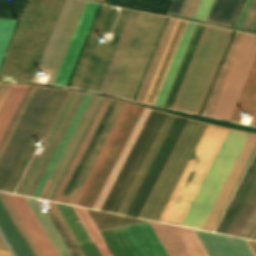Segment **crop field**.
<instances>
[{
	"mask_svg": "<svg viewBox=\"0 0 256 256\" xmlns=\"http://www.w3.org/2000/svg\"><path fill=\"white\" fill-rule=\"evenodd\" d=\"M205 127L151 110L101 209L158 221Z\"/></svg>",
	"mask_w": 256,
	"mask_h": 256,
	"instance_id": "crop-field-1",
	"label": "crop field"
},
{
	"mask_svg": "<svg viewBox=\"0 0 256 256\" xmlns=\"http://www.w3.org/2000/svg\"><path fill=\"white\" fill-rule=\"evenodd\" d=\"M226 129L207 125L159 221L180 223ZM248 133L227 129L180 225L201 229Z\"/></svg>",
	"mask_w": 256,
	"mask_h": 256,
	"instance_id": "crop-field-2",
	"label": "crop field"
},
{
	"mask_svg": "<svg viewBox=\"0 0 256 256\" xmlns=\"http://www.w3.org/2000/svg\"><path fill=\"white\" fill-rule=\"evenodd\" d=\"M25 198L28 201L33 212L35 213L36 217L38 218L40 224L45 230L47 236L49 237L59 256H100L93 243L91 242L90 238L88 237L87 233L85 232L84 228L82 227L80 223L81 221L87 232L89 233L91 239L93 240L94 244L96 245L101 256H113L101 234L99 233L98 229L96 228L95 224L93 223L92 219L90 218L89 214L87 213L86 209L72 206V208L81 220L79 222L71 206L67 205L75 221H78L75 222L66 205L55 203L62 216L64 217L66 223L68 224L69 228L71 229L72 233L74 234L75 238L77 239L78 243L80 244L81 248L83 249L85 253L84 255L82 249L80 248L79 244L77 243L76 239L74 238L73 234L65 223L54 202L48 203L49 207L52 210V212L48 214V216L51 219L56 230L58 231L59 235L61 236L69 252L71 253L70 255L60 236L52 225L50 219L48 218L47 214L42 211L37 199L28 197Z\"/></svg>",
	"mask_w": 256,
	"mask_h": 256,
	"instance_id": "crop-field-3",
	"label": "crop field"
},
{
	"mask_svg": "<svg viewBox=\"0 0 256 256\" xmlns=\"http://www.w3.org/2000/svg\"><path fill=\"white\" fill-rule=\"evenodd\" d=\"M232 32L205 26L172 108L199 113Z\"/></svg>",
	"mask_w": 256,
	"mask_h": 256,
	"instance_id": "crop-field-4",
	"label": "crop field"
},
{
	"mask_svg": "<svg viewBox=\"0 0 256 256\" xmlns=\"http://www.w3.org/2000/svg\"><path fill=\"white\" fill-rule=\"evenodd\" d=\"M165 19L138 13L106 93L133 98Z\"/></svg>",
	"mask_w": 256,
	"mask_h": 256,
	"instance_id": "crop-field-5",
	"label": "crop field"
},
{
	"mask_svg": "<svg viewBox=\"0 0 256 256\" xmlns=\"http://www.w3.org/2000/svg\"><path fill=\"white\" fill-rule=\"evenodd\" d=\"M169 256H253L242 238L150 222Z\"/></svg>",
	"mask_w": 256,
	"mask_h": 256,
	"instance_id": "crop-field-6",
	"label": "crop field"
},
{
	"mask_svg": "<svg viewBox=\"0 0 256 256\" xmlns=\"http://www.w3.org/2000/svg\"><path fill=\"white\" fill-rule=\"evenodd\" d=\"M128 11L121 10L112 31L115 33L112 43L102 44L99 40L104 31H111L117 11L110 6H101L69 86L97 90Z\"/></svg>",
	"mask_w": 256,
	"mask_h": 256,
	"instance_id": "crop-field-7",
	"label": "crop field"
},
{
	"mask_svg": "<svg viewBox=\"0 0 256 256\" xmlns=\"http://www.w3.org/2000/svg\"><path fill=\"white\" fill-rule=\"evenodd\" d=\"M100 232L114 256H168L148 221Z\"/></svg>",
	"mask_w": 256,
	"mask_h": 256,
	"instance_id": "crop-field-8",
	"label": "crop field"
},
{
	"mask_svg": "<svg viewBox=\"0 0 256 256\" xmlns=\"http://www.w3.org/2000/svg\"><path fill=\"white\" fill-rule=\"evenodd\" d=\"M85 2L83 0H65L32 80L36 81L38 72L43 70L50 74L47 83H53Z\"/></svg>",
	"mask_w": 256,
	"mask_h": 256,
	"instance_id": "crop-field-9",
	"label": "crop field"
},
{
	"mask_svg": "<svg viewBox=\"0 0 256 256\" xmlns=\"http://www.w3.org/2000/svg\"><path fill=\"white\" fill-rule=\"evenodd\" d=\"M255 55L256 35L245 33L211 117L230 119Z\"/></svg>",
	"mask_w": 256,
	"mask_h": 256,
	"instance_id": "crop-field-10",
	"label": "crop field"
},
{
	"mask_svg": "<svg viewBox=\"0 0 256 256\" xmlns=\"http://www.w3.org/2000/svg\"><path fill=\"white\" fill-rule=\"evenodd\" d=\"M54 89L37 88L13 138L0 161V190H3Z\"/></svg>",
	"mask_w": 256,
	"mask_h": 256,
	"instance_id": "crop-field-11",
	"label": "crop field"
},
{
	"mask_svg": "<svg viewBox=\"0 0 256 256\" xmlns=\"http://www.w3.org/2000/svg\"><path fill=\"white\" fill-rule=\"evenodd\" d=\"M256 209V166L249 165L216 232L239 236Z\"/></svg>",
	"mask_w": 256,
	"mask_h": 256,
	"instance_id": "crop-field-12",
	"label": "crop field"
},
{
	"mask_svg": "<svg viewBox=\"0 0 256 256\" xmlns=\"http://www.w3.org/2000/svg\"><path fill=\"white\" fill-rule=\"evenodd\" d=\"M65 91L54 90L39 122L37 123L21 157L19 158L4 190L13 192L20 176L22 175L37 143H39L64 95Z\"/></svg>",
	"mask_w": 256,
	"mask_h": 256,
	"instance_id": "crop-field-13",
	"label": "crop field"
},
{
	"mask_svg": "<svg viewBox=\"0 0 256 256\" xmlns=\"http://www.w3.org/2000/svg\"><path fill=\"white\" fill-rule=\"evenodd\" d=\"M99 4L87 1L53 84L65 87Z\"/></svg>",
	"mask_w": 256,
	"mask_h": 256,
	"instance_id": "crop-field-14",
	"label": "crop field"
},
{
	"mask_svg": "<svg viewBox=\"0 0 256 256\" xmlns=\"http://www.w3.org/2000/svg\"><path fill=\"white\" fill-rule=\"evenodd\" d=\"M256 146V135L249 134L226 182L224 183L202 229L212 231L227 203L251 153Z\"/></svg>",
	"mask_w": 256,
	"mask_h": 256,
	"instance_id": "crop-field-15",
	"label": "crop field"
},
{
	"mask_svg": "<svg viewBox=\"0 0 256 256\" xmlns=\"http://www.w3.org/2000/svg\"><path fill=\"white\" fill-rule=\"evenodd\" d=\"M41 256H58L24 197L6 194Z\"/></svg>",
	"mask_w": 256,
	"mask_h": 256,
	"instance_id": "crop-field-16",
	"label": "crop field"
},
{
	"mask_svg": "<svg viewBox=\"0 0 256 256\" xmlns=\"http://www.w3.org/2000/svg\"><path fill=\"white\" fill-rule=\"evenodd\" d=\"M77 93H73V92H67L45 138L43 141H45L47 143L41 157L35 156L27 174L25 175L17 193L18 194H23L26 195L42 161L44 160L59 128L61 127L75 97H76Z\"/></svg>",
	"mask_w": 256,
	"mask_h": 256,
	"instance_id": "crop-field-17",
	"label": "crop field"
},
{
	"mask_svg": "<svg viewBox=\"0 0 256 256\" xmlns=\"http://www.w3.org/2000/svg\"><path fill=\"white\" fill-rule=\"evenodd\" d=\"M122 105H123V103L118 102V101L114 105V107H113V109H112V111H111V113H110L102 131L100 132V134H99V136H98V138H97V140H96L88 158L86 159V161H85V163H84V165H83L75 183L73 184V186H72V188H71V190H70V192H69V194H68V196L65 200L66 203L72 204V202H73L80 186L82 185L90 167L92 166L100 148L102 147V145H103V143H104V141H105V139H106V137H107V135H108V133H109V131H110V129H111V127H112V125H113L121 107H122Z\"/></svg>",
	"mask_w": 256,
	"mask_h": 256,
	"instance_id": "crop-field-18",
	"label": "crop field"
},
{
	"mask_svg": "<svg viewBox=\"0 0 256 256\" xmlns=\"http://www.w3.org/2000/svg\"><path fill=\"white\" fill-rule=\"evenodd\" d=\"M196 24L188 22L154 105L162 107Z\"/></svg>",
	"mask_w": 256,
	"mask_h": 256,
	"instance_id": "crop-field-19",
	"label": "crop field"
},
{
	"mask_svg": "<svg viewBox=\"0 0 256 256\" xmlns=\"http://www.w3.org/2000/svg\"><path fill=\"white\" fill-rule=\"evenodd\" d=\"M177 20L169 18L135 101L143 103Z\"/></svg>",
	"mask_w": 256,
	"mask_h": 256,
	"instance_id": "crop-field-20",
	"label": "crop field"
},
{
	"mask_svg": "<svg viewBox=\"0 0 256 256\" xmlns=\"http://www.w3.org/2000/svg\"><path fill=\"white\" fill-rule=\"evenodd\" d=\"M244 33H235L202 115L210 117Z\"/></svg>",
	"mask_w": 256,
	"mask_h": 256,
	"instance_id": "crop-field-21",
	"label": "crop field"
},
{
	"mask_svg": "<svg viewBox=\"0 0 256 256\" xmlns=\"http://www.w3.org/2000/svg\"><path fill=\"white\" fill-rule=\"evenodd\" d=\"M138 12L130 10L97 91L105 93Z\"/></svg>",
	"mask_w": 256,
	"mask_h": 256,
	"instance_id": "crop-field-22",
	"label": "crop field"
},
{
	"mask_svg": "<svg viewBox=\"0 0 256 256\" xmlns=\"http://www.w3.org/2000/svg\"><path fill=\"white\" fill-rule=\"evenodd\" d=\"M205 25L197 24L163 107L171 108Z\"/></svg>",
	"mask_w": 256,
	"mask_h": 256,
	"instance_id": "crop-field-23",
	"label": "crop field"
},
{
	"mask_svg": "<svg viewBox=\"0 0 256 256\" xmlns=\"http://www.w3.org/2000/svg\"><path fill=\"white\" fill-rule=\"evenodd\" d=\"M0 230L16 256H32L1 202Z\"/></svg>",
	"mask_w": 256,
	"mask_h": 256,
	"instance_id": "crop-field-24",
	"label": "crop field"
},
{
	"mask_svg": "<svg viewBox=\"0 0 256 256\" xmlns=\"http://www.w3.org/2000/svg\"><path fill=\"white\" fill-rule=\"evenodd\" d=\"M89 97H90V95L84 94V96H83V98H82V100H81V102H80V104H79V106H78V108H77V110H76L68 128L66 129V131H65V133H64V135H63V137H62V139H61V141H60V143H59L51 161L49 162V164H48V166H47V168H46V170H45V172H44V174H43V176H42V178H41V180H40V182H39V184H38V186H37V188H36V190L33 194V197H37V198L39 197V195H40V193H41V191H42V189H43V187H44V185H45V183H46V181H47V179H48V177H49V175H50V173H51V171H52V169L55 165V163L57 162V160H58V158H59V156H60V154H61V152H62V150H63L71 132H72V130L75 127V125H76V123H77V121H78V119H79V117H80V115H81Z\"/></svg>",
	"mask_w": 256,
	"mask_h": 256,
	"instance_id": "crop-field-25",
	"label": "crop field"
},
{
	"mask_svg": "<svg viewBox=\"0 0 256 256\" xmlns=\"http://www.w3.org/2000/svg\"><path fill=\"white\" fill-rule=\"evenodd\" d=\"M242 0H214L205 21L230 26Z\"/></svg>",
	"mask_w": 256,
	"mask_h": 256,
	"instance_id": "crop-field-26",
	"label": "crop field"
},
{
	"mask_svg": "<svg viewBox=\"0 0 256 256\" xmlns=\"http://www.w3.org/2000/svg\"><path fill=\"white\" fill-rule=\"evenodd\" d=\"M26 87L12 86L0 110V139L25 91Z\"/></svg>",
	"mask_w": 256,
	"mask_h": 256,
	"instance_id": "crop-field-27",
	"label": "crop field"
},
{
	"mask_svg": "<svg viewBox=\"0 0 256 256\" xmlns=\"http://www.w3.org/2000/svg\"><path fill=\"white\" fill-rule=\"evenodd\" d=\"M82 96H83V94L78 93V95H77V97H76V99H75V101H74V103H73V105H72V107H71V109H70V111H69V113H68V115H67V117H66V119L63 123V125H62V127L60 128V130H59V132H58V134H57V136H56V138H55V140H54V142H53V144H52V146H51V148H50V150H49V152H48V154L45 158V160L43 161V163H42V165H41V167H40L32 185H31L27 195L32 196V194H33V192H34V190H35V188H36V186H37V184H38V182H39V180H40V178H41V176H42V174H43V172H44V170H45V168L48 164V162L50 161V159H51V157H52V155H53V153H54V151H55V149H56L64 131H65V129L68 126V124H69V122H70V120H71V118H72V116H73V114H74Z\"/></svg>",
	"mask_w": 256,
	"mask_h": 256,
	"instance_id": "crop-field-28",
	"label": "crop field"
},
{
	"mask_svg": "<svg viewBox=\"0 0 256 256\" xmlns=\"http://www.w3.org/2000/svg\"><path fill=\"white\" fill-rule=\"evenodd\" d=\"M114 103H115V101L110 100V102H109V104H108V106H107V108H106V110H105V112H104V114H103V116H102V118H101V120H100V122H99V124H98V126H97V128H96V130H95V132H94V134H93V136H92L88 146H87V148H86V150L84 151V153H83V155H82V157H81V159H80V161H79V163H78V165H77V167H76V169H75V171H74V173H73V175H72V177H71V179H70V181H69V183H68V185H67V187H66V189H65V191H64V193H63V195L61 197V199H60L61 202H64V200H65V198H66V196H67V194H68V192H69V190H70V188H71V186H72V184H73L77 174L79 173V171H80V169H81V167H82V165H83V163H84V161H85L89 151L91 150V148H92V146H93V144H94V142H95V140H96V138H97V136H98V134H99V132H100V130L102 128V126L104 125V123H105V121H106V119H107V117H108V115H109V113H110Z\"/></svg>",
	"mask_w": 256,
	"mask_h": 256,
	"instance_id": "crop-field-29",
	"label": "crop field"
},
{
	"mask_svg": "<svg viewBox=\"0 0 256 256\" xmlns=\"http://www.w3.org/2000/svg\"><path fill=\"white\" fill-rule=\"evenodd\" d=\"M98 99H99V97L95 96V98H94V100H93V102H92V104H91V106H90V108H89V110H88L80 128H79V130L77 131V133H76V135H75V137H74V139H73V141H72V143H71V145H70V147H69V149H68V151H67V153H66V155H65V157L62 161V163L60 164V166H59V168H58V170H57V172H56V174H55V176H54V178H53V180H52V182H51V184H50V186H49V188H48V190H47V192L44 196L45 199H48V197H49V195H50V193H51V191H52V189H53V187H54V185H55V183H56V181H57V179H58V177H59V175H60V173H61V171L64 167V165L66 164V162H67V160H68V158H69V156H70V154H71V152H72V150H73L81 132L83 131V129L85 127V125H86V123H87V121H88V119H89V117H90Z\"/></svg>",
	"mask_w": 256,
	"mask_h": 256,
	"instance_id": "crop-field-30",
	"label": "crop field"
},
{
	"mask_svg": "<svg viewBox=\"0 0 256 256\" xmlns=\"http://www.w3.org/2000/svg\"><path fill=\"white\" fill-rule=\"evenodd\" d=\"M103 100H104V98L102 99V97H100V99H99V101H98V103H97V105H96V107H95V109H94V111H93L85 129H84V131L82 132V134H81V136H80V138H79V140H78V142H77V144H76V146H75L67 164L65 165V167H64V169H63V171H62V173H61V175H60V177H59V179H58V181H57V183H56V185H55V187H54V189H53V191H52V193L49 197L50 200H53V198H54V196H55V194H56V192H57V190H58V188H59V186H60L68 168H69V166L71 165V163H72V161H73V159H74V157H75V155H76V153H77V151H78L86 133L88 132V130L90 128V126H91V124H92V122H93V120H94V118H95Z\"/></svg>",
	"mask_w": 256,
	"mask_h": 256,
	"instance_id": "crop-field-31",
	"label": "crop field"
},
{
	"mask_svg": "<svg viewBox=\"0 0 256 256\" xmlns=\"http://www.w3.org/2000/svg\"><path fill=\"white\" fill-rule=\"evenodd\" d=\"M7 197V196H6ZM5 197L4 193L0 192V200L3 203L4 207L6 208L8 214L10 215L11 219L13 220L14 224L16 225L18 231L20 232L21 236L23 237L25 243L27 244L28 248L30 249L33 256H40L39 252L37 251L36 247L34 246L33 242L30 239V235L28 236L26 230L24 229L23 225L21 224L20 220L17 217V213L15 214L14 208L12 209L10 203L8 202L7 198Z\"/></svg>",
	"mask_w": 256,
	"mask_h": 256,
	"instance_id": "crop-field-32",
	"label": "crop field"
},
{
	"mask_svg": "<svg viewBox=\"0 0 256 256\" xmlns=\"http://www.w3.org/2000/svg\"><path fill=\"white\" fill-rule=\"evenodd\" d=\"M16 20L0 19V62Z\"/></svg>",
	"mask_w": 256,
	"mask_h": 256,
	"instance_id": "crop-field-33",
	"label": "crop field"
},
{
	"mask_svg": "<svg viewBox=\"0 0 256 256\" xmlns=\"http://www.w3.org/2000/svg\"><path fill=\"white\" fill-rule=\"evenodd\" d=\"M93 98H94V96L91 95V97H90V99H89V101H88V103H87V105H86V107H85V109H84V111H83V113H82V115H81V117H80V119H79V121H78V123H77V125H76V127L74 129V131H73V133H72V135L70 136V138H69V140H68V142H67V144H66V146H65V148H64V150H63V152H62V154H61V156H60V158H59V160H58V162H57V164H56V166H55V168H54V170H53V172H52V174H51V176L49 178V180H48V182H51V180H52V178H53V176H54V174H55V172H56V170H57V168H58V166H59V164H60L64 154L66 153V151H67V149H68V147H69V145H70V143H71V141H72V139H73V137H74L78 127H79V125L81 124V122H82V120H83V118L85 116V114H86V112H87V110H88V108H89ZM48 185H49V183H46V185H45V187H44V189H43V191H42V193L40 195L41 198L43 197V195H44Z\"/></svg>",
	"mask_w": 256,
	"mask_h": 256,
	"instance_id": "crop-field-34",
	"label": "crop field"
},
{
	"mask_svg": "<svg viewBox=\"0 0 256 256\" xmlns=\"http://www.w3.org/2000/svg\"><path fill=\"white\" fill-rule=\"evenodd\" d=\"M126 106H127V104L125 103L123 108H122V110H121V112H120V114H119V116H118V118H117V120H116V122H115V124H114V126H113V128H112V130H111V132H110V134H109V136L107 137V139H106V141H105V143H104L100 153L98 154V156H97V158H96V160H95L91 170L89 171V173H88V175H87V177H86L82 187L80 188V190H79V192H78V194H77V196H76V198H75V200L73 202L74 205H76V203H77V201H78V199H79V197H80V195H81V193H82V191H83L87 181L89 180V178H90V176H91V174H92V172H93V170H94V168H95V166H96V164H97L101 154L103 153V151H104V149H105V147H106V145H107V143H108V141H109V139H110L114 129L116 128V126H117V124H118V122H119V120H120V118H121V116H122Z\"/></svg>",
	"mask_w": 256,
	"mask_h": 256,
	"instance_id": "crop-field-35",
	"label": "crop field"
},
{
	"mask_svg": "<svg viewBox=\"0 0 256 256\" xmlns=\"http://www.w3.org/2000/svg\"><path fill=\"white\" fill-rule=\"evenodd\" d=\"M35 90H36V88L33 87V89L31 91L29 97L27 98V100H26V102H25V104H24V106H23V108H22V110H21V112H20V114H19V116H18V118H17V120H16V122H15V124H14V126H13V128H12V130H11V132H10L6 142H5V144H4V146H3V148L1 149V151H0V159H1L5 149L7 147L11 137L13 136V134H14V132H15V130H16V128H17V126H18V124H19V122H20V120H21V118H22V116H23V114H24V112H25V110H26V108H27V106H28L32 96H33V94H34V92H35Z\"/></svg>",
	"mask_w": 256,
	"mask_h": 256,
	"instance_id": "crop-field-36",
	"label": "crop field"
},
{
	"mask_svg": "<svg viewBox=\"0 0 256 256\" xmlns=\"http://www.w3.org/2000/svg\"><path fill=\"white\" fill-rule=\"evenodd\" d=\"M212 3L213 0H200L192 18L204 21Z\"/></svg>",
	"mask_w": 256,
	"mask_h": 256,
	"instance_id": "crop-field-37",
	"label": "crop field"
},
{
	"mask_svg": "<svg viewBox=\"0 0 256 256\" xmlns=\"http://www.w3.org/2000/svg\"><path fill=\"white\" fill-rule=\"evenodd\" d=\"M31 89H32V87H28V89H27L23 99L21 100L17 110L15 111V113H14V115H13V117H12V119H11V121H10V123H9V125H8V127H7V129H6L5 133H4L1 141H0V149H1L2 145L4 144V142H5L6 138H7L8 134H9V132H10V130H11V128H12V126H13V124H14V122H15V120H16V118H17V116H18V114H19V112H20V110H21V108H22V106H23L27 96H28V94L31 91Z\"/></svg>",
	"mask_w": 256,
	"mask_h": 256,
	"instance_id": "crop-field-38",
	"label": "crop field"
},
{
	"mask_svg": "<svg viewBox=\"0 0 256 256\" xmlns=\"http://www.w3.org/2000/svg\"><path fill=\"white\" fill-rule=\"evenodd\" d=\"M199 0H186L179 16L191 18Z\"/></svg>",
	"mask_w": 256,
	"mask_h": 256,
	"instance_id": "crop-field-39",
	"label": "crop field"
},
{
	"mask_svg": "<svg viewBox=\"0 0 256 256\" xmlns=\"http://www.w3.org/2000/svg\"><path fill=\"white\" fill-rule=\"evenodd\" d=\"M255 16H256V0H254L253 2V5L249 11V14L242 28L249 30L254 21Z\"/></svg>",
	"mask_w": 256,
	"mask_h": 256,
	"instance_id": "crop-field-40",
	"label": "crop field"
},
{
	"mask_svg": "<svg viewBox=\"0 0 256 256\" xmlns=\"http://www.w3.org/2000/svg\"><path fill=\"white\" fill-rule=\"evenodd\" d=\"M173 1H172V3H173ZM184 2H185V0H175L174 3H173V6H172V3H171L167 13L169 12V10H170V8L172 6V8H171L169 13L178 16L180 11H181V9H182V7H183Z\"/></svg>",
	"mask_w": 256,
	"mask_h": 256,
	"instance_id": "crop-field-41",
	"label": "crop field"
},
{
	"mask_svg": "<svg viewBox=\"0 0 256 256\" xmlns=\"http://www.w3.org/2000/svg\"><path fill=\"white\" fill-rule=\"evenodd\" d=\"M12 85L0 84V108Z\"/></svg>",
	"mask_w": 256,
	"mask_h": 256,
	"instance_id": "crop-field-42",
	"label": "crop field"
},
{
	"mask_svg": "<svg viewBox=\"0 0 256 256\" xmlns=\"http://www.w3.org/2000/svg\"><path fill=\"white\" fill-rule=\"evenodd\" d=\"M249 3H250V0H245L243 6H242V8H241V11H240V13H239V15H238V17H237V20H236V22H235V24H234L233 27H236V28L239 27V25H240V23H241V21H242V18H243V16H244L245 12H246V9H247Z\"/></svg>",
	"mask_w": 256,
	"mask_h": 256,
	"instance_id": "crop-field-43",
	"label": "crop field"
},
{
	"mask_svg": "<svg viewBox=\"0 0 256 256\" xmlns=\"http://www.w3.org/2000/svg\"><path fill=\"white\" fill-rule=\"evenodd\" d=\"M256 219V210L254 212V214L252 215V217L250 218V220L248 221L247 225L245 226V228L243 229L242 233L240 234V236L245 237V235L247 234L248 230L250 229V227L252 226L253 222Z\"/></svg>",
	"mask_w": 256,
	"mask_h": 256,
	"instance_id": "crop-field-44",
	"label": "crop field"
},
{
	"mask_svg": "<svg viewBox=\"0 0 256 256\" xmlns=\"http://www.w3.org/2000/svg\"><path fill=\"white\" fill-rule=\"evenodd\" d=\"M0 250H6L8 251L7 247L5 246L4 242L2 241L1 237H0Z\"/></svg>",
	"mask_w": 256,
	"mask_h": 256,
	"instance_id": "crop-field-45",
	"label": "crop field"
},
{
	"mask_svg": "<svg viewBox=\"0 0 256 256\" xmlns=\"http://www.w3.org/2000/svg\"><path fill=\"white\" fill-rule=\"evenodd\" d=\"M10 252L0 251V256H10Z\"/></svg>",
	"mask_w": 256,
	"mask_h": 256,
	"instance_id": "crop-field-46",
	"label": "crop field"
},
{
	"mask_svg": "<svg viewBox=\"0 0 256 256\" xmlns=\"http://www.w3.org/2000/svg\"><path fill=\"white\" fill-rule=\"evenodd\" d=\"M250 30L256 31V18Z\"/></svg>",
	"mask_w": 256,
	"mask_h": 256,
	"instance_id": "crop-field-47",
	"label": "crop field"
},
{
	"mask_svg": "<svg viewBox=\"0 0 256 256\" xmlns=\"http://www.w3.org/2000/svg\"><path fill=\"white\" fill-rule=\"evenodd\" d=\"M251 163L256 164V154H255V156H254V158H253Z\"/></svg>",
	"mask_w": 256,
	"mask_h": 256,
	"instance_id": "crop-field-48",
	"label": "crop field"
},
{
	"mask_svg": "<svg viewBox=\"0 0 256 256\" xmlns=\"http://www.w3.org/2000/svg\"><path fill=\"white\" fill-rule=\"evenodd\" d=\"M255 232H256V228H255V230L253 231V233L251 234L250 239H252V237L254 236Z\"/></svg>",
	"mask_w": 256,
	"mask_h": 256,
	"instance_id": "crop-field-49",
	"label": "crop field"
},
{
	"mask_svg": "<svg viewBox=\"0 0 256 256\" xmlns=\"http://www.w3.org/2000/svg\"><path fill=\"white\" fill-rule=\"evenodd\" d=\"M255 237H256V234H255V236L253 237V239H255Z\"/></svg>",
	"mask_w": 256,
	"mask_h": 256,
	"instance_id": "crop-field-50",
	"label": "crop field"
}]
</instances>
